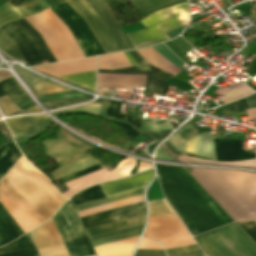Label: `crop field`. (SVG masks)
Here are the masks:
<instances>
[{
    "instance_id": "crop-field-4",
    "label": "crop field",
    "mask_w": 256,
    "mask_h": 256,
    "mask_svg": "<svg viewBox=\"0 0 256 256\" xmlns=\"http://www.w3.org/2000/svg\"><path fill=\"white\" fill-rule=\"evenodd\" d=\"M31 166L22 156L1 181L42 223L66 200Z\"/></svg>"
},
{
    "instance_id": "crop-field-34",
    "label": "crop field",
    "mask_w": 256,
    "mask_h": 256,
    "mask_svg": "<svg viewBox=\"0 0 256 256\" xmlns=\"http://www.w3.org/2000/svg\"><path fill=\"white\" fill-rule=\"evenodd\" d=\"M51 21L60 29L68 43L70 44L71 48L73 49L74 53L76 54L77 58H82L84 55L82 54L81 50L77 46L76 42L74 41L73 37L71 36L70 32L68 31L67 27L49 10L43 11Z\"/></svg>"
},
{
    "instance_id": "crop-field-8",
    "label": "crop field",
    "mask_w": 256,
    "mask_h": 256,
    "mask_svg": "<svg viewBox=\"0 0 256 256\" xmlns=\"http://www.w3.org/2000/svg\"><path fill=\"white\" fill-rule=\"evenodd\" d=\"M25 19L42 35L57 62L76 58L59 29L42 12Z\"/></svg>"
},
{
    "instance_id": "crop-field-20",
    "label": "crop field",
    "mask_w": 256,
    "mask_h": 256,
    "mask_svg": "<svg viewBox=\"0 0 256 256\" xmlns=\"http://www.w3.org/2000/svg\"><path fill=\"white\" fill-rule=\"evenodd\" d=\"M149 68L154 67L147 64L142 66L126 67L114 70H98V72L147 75L145 92L164 95L166 89L168 88V85L165 84L166 81L149 76Z\"/></svg>"
},
{
    "instance_id": "crop-field-16",
    "label": "crop field",
    "mask_w": 256,
    "mask_h": 256,
    "mask_svg": "<svg viewBox=\"0 0 256 256\" xmlns=\"http://www.w3.org/2000/svg\"><path fill=\"white\" fill-rule=\"evenodd\" d=\"M44 145L46 148V154L54 159H56L59 167L79 161L81 159L87 158L89 156L80 153L76 149H74L69 144L65 143L60 139L55 140H47L39 145Z\"/></svg>"
},
{
    "instance_id": "crop-field-73",
    "label": "crop field",
    "mask_w": 256,
    "mask_h": 256,
    "mask_svg": "<svg viewBox=\"0 0 256 256\" xmlns=\"http://www.w3.org/2000/svg\"><path fill=\"white\" fill-rule=\"evenodd\" d=\"M168 135H165V136H153L155 137L156 139H158L159 141H162L164 138H166Z\"/></svg>"
},
{
    "instance_id": "crop-field-72",
    "label": "crop field",
    "mask_w": 256,
    "mask_h": 256,
    "mask_svg": "<svg viewBox=\"0 0 256 256\" xmlns=\"http://www.w3.org/2000/svg\"><path fill=\"white\" fill-rule=\"evenodd\" d=\"M68 125H69V124H68ZM70 126H71V125H70ZM72 127H74V126H72ZM74 128H76V127H74ZM76 129H78V128H76ZM78 130H80V129H78ZM80 131H82V130H80ZM82 132H84V131H82ZM84 133L87 134L88 136H90V137H92V138H94V139H96V140L102 142L101 140L97 139L96 137H94V136H92V135H90V134H88V133H86V132H84ZM102 143H104V142H102ZM105 144H106V143H105Z\"/></svg>"
},
{
    "instance_id": "crop-field-43",
    "label": "crop field",
    "mask_w": 256,
    "mask_h": 256,
    "mask_svg": "<svg viewBox=\"0 0 256 256\" xmlns=\"http://www.w3.org/2000/svg\"><path fill=\"white\" fill-rule=\"evenodd\" d=\"M158 241L162 243L164 249L195 243L190 235L175 237V238H170V239H164V240H158Z\"/></svg>"
},
{
    "instance_id": "crop-field-24",
    "label": "crop field",
    "mask_w": 256,
    "mask_h": 256,
    "mask_svg": "<svg viewBox=\"0 0 256 256\" xmlns=\"http://www.w3.org/2000/svg\"><path fill=\"white\" fill-rule=\"evenodd\" d=\"M143 225H144V223L135 225V226H131L128 228L120 229L117 231L105 233L102 235L90 237L89 239H90L93 247H95V246L131 238V237L139 236L143 229Z\"/></svg>"
},
{
    "instance_id": "crop-field-28",
    "label": "crop field",
    "mask_w": 256,
    "mask_h": 256,
    "mask_svg": "<svg viewBox=\"0 0 256 256\" xmlns=\"http://www.w3.org/2000/svg\"><path fill=\"white\" fill-rule=\"evenodd\" d=\"M8 94H10L15 104L29 99L13 77L0 81V97Z\"/></svg>"
},
{
    "instance_id": "crop-field-64",
    "label": "crop field",
    "mask_w": 256,
    "mask_h": 256,
    "mask_svg": "<svg viewBox=\"0 0 256 256\" xmlns=\"http://www.w3.org/2000/svg\"><path fill=\"white\" fill-rule=\"evenodd\" d=\"M163 146H164L166 149H168L172 154H175V155L184 154V153H182V152H180V151L174 149L173 147H171L167 141L163 143Z\"/></svg>"
},
{
    "instance_id": "crop-field-25",
    "label": "crop field",
    "mask_w": 256,
    "mask_h": 256,
    "mask_svg": "<svg viewBox=\"0 0 256 256\" xmlns=\"http://www.w3.org/2000/svg\"><path fill=\"white\" fill-rule=\"evenodd\" d=\"M0 256H39L29 234L0 248Z\"/></svg>"
},
{
    "instance_id": "crop-field-60",
    "label": "crop field",
    "mask_w": 256,
    "mask_h": 256,
    "mask_svg": "<svg viewBox=\"0 0 256 256\" xmlns=\"http://www.w3.org/2000/svg\"><path fill=\"white\" fill-rule=\"evenodd\" d=\"M101 105L102 104H92L90 106H86V107L75 109V110H83V111H86V112H91V113L98 114L99 110L101 108ZM70 111H72V110H70Z\"/></svg>"
},
{
    "instance_id": "crop-field-15",
    "label": "crop field",
    "mask_w": 256,
    "mask_h": 256,
    "mask_svg": "<svg viewBox=\"0 0 256 256\" xmlns=\"http://www.w3.org/2000/svg\"><path fill=\"white\" fill-rule=\"evenodd\" d=\"M153 175V170H149L132 177L101 184L105 197H110L125 192L137 190L146 187Z\"/></svg>"
},
{
    "instance_id": "crop-field-58",
    "label": "crop field",
    "mask_w": 256,
    "mask_h": 256,
    "mask_svg": "<svg viewBox=\"0 0 256 256\" xmlns=\"http://www.w3.org/2000/svg\"><path fill=\"white\" fill-rule=\"evenodd\" d=\"M134 256H165L163 250H136Z\"/></svg>"
},
{
    "instance_id": "crop-field-41",
    "label": "crop field",
    "mask_w": 256,
    "mask_h": 256,
    "mask_svg": "<svg viewBox=\"0 0 256 256\" xmlns=\"http://www.w3.org/2000/svg\"><path fill=\"white\" fill-rule=\"evenodd\" d=\"M136 160L127 158L121 161L118 166L111 172L115 178L129 175V171L135 168Z\"/></svg>"
},
{
    "instance_id": "crop-field-33",
    "label": "crop field",
    "mask_w": 256,
    "mask_h": 256,
    "mask_svg": "<svg viewBox=\"0 0 256 256\" xmlns=\"http://www.w3.org/2000/svg\"><path fill=\"white\" fill-rule=\"evenodd\" d=\"M144 220H145V215L140 216V217H136V218H132V219H129V220L117 222V223H114V224L102 226V227H99V228L87 230L86 232H87L88 236L90 237V236L102 234V233H105V232L113 231V230H116V229L128 227V226H131V225L143 223Z\"/></svg>"
},
{
    "instance_id": "crop-field-10",
    "label": "crop field",
    "mask_w": 256,
    "mask_h": 256,
    "mask_svg": "<svg viewBox=\"0 0 256 256\" xmlns=\"http://www.w3.org/2000/svg\"><path fill=\"white\" fill-rule=\"evenodd\" d=\"M29 234L40 256H68L52 220Z\"/></svg>"
},
{
    "instance_id": "crop-field-7",
    "label": "crop field",
    "mask_w": 256,
    "mask_h": 256,
    "mask_svg": "<svg viewBox=\"0 0 256 256\" xmlns=\"http://www.w3.org/2000/svg\"><path fill=\"white\" fill-rule=\"evenodd\" d=\"M52 219L70 256L95 255L76 213L68 202Z\"/></svg>"
},
{
    "instance_id": "crop-field-69",
    "label": "crop field",
    "mask_w": 256,
    "mask_h": 256,
    "mask_svg": "<svg viewBox=\"0 0 256 256\" xmlns=\"http://www.w3.org/2000/svg\"><path fill=\"white\" fill-rule=\"evenodd\" d=\"M126 121L129 122V123H131V124H133L135 127H137V128L140 129L141 122H135V121L131 120V116L128 115Z\"/></svg>"
},
{
    "instance_id": "crop-field-45",
    "label": "crop field",
    "mask_w": 256,
    "mask_h": 256,
    "mask_svg": "<svg viewBox=\"0 0 256 256\" xmlns=\"http://www.w3.org/2000/svg\"><path fill=\"white\" fill-rule=\"evenodd\" d=\"M121 103L122 102H115L110 100L105 116L117 118L125 121L127 115L120 114Z\"/></svg>"
},
{
    "instance_id": "crop-field-65",
    "label": "crop field",
    "mask_w": 256,
    "mask_h": 256,
    "mask_svg": "<svg viewBox=\"0 0 256 256\" xmlns=\"http://www.w3.org/2000/svg\"><path fill=\"white\" fill-rule=\"evenodd\" d=\"M1 124H3L2 121H0V130L3 134V136L5 137L6 141L11 140L12 138H11L10 134L8 133L6 127H3Z\"/></svg>"
},
{
    "instance_id": "crop-field-50",
    "label": "crop field",
    "mask_w": 256,
    "mask_h": 256,
    "mask_svg": "<svg viewBox=\"0 0 256 256\" xmlns=\"http://www.w3.org/2000/svg\"><path fill=\"white\" fill-rule=\"evenodd\" d=\"M170 1H173V0H146V1L136 4L134 6L143 12L147 9L156 7L158 5H161L163 3L170 2Z\"/></svg>"
},
{
    "instance_id": "crop-field-59",
    "label": "crop field",
    "mask_w": 256,
    "mask_h": 256,
    "mask_svg": "<svg viewBox=\"0 0 256 256\" xmlns=\"http://www.w3.org/2000/svg\"><path fill=\"white\" fill-rule=\"evenodd\" d=\"M172 41L181 49L183 53H186L192 49V47L180 36Z\"/></svg>"
},
{
    "instance_id": "crop-field-70",
    "label": "crop field",
    "mask_w": 256,
    "mask_h": 256,
    "mask_svg": "<svg viewBox=\"0 0 256 256\" xmlns=\"http://www.w3.org/2000/svg\"><path fill=\"white\" fill-rule=\"evenodd\" d=\"M8 77H11V74L6 71H0V80L6 79Z\"/></svg>"
},
{
    "instance_id": "crop-field-54",
    "label": "crop field",
    "mask_w": 256,
    "mask_h": 256,
    "mask_svg": "<svg viewBox=\"0 0 256 256\" xmlns=\"http://www.w3.org/2000/svg\"><path fill=\"white\" fill-rule=\"evenodd\" d=\"M241 97H243V95L234 87L233 89L228 90L220 100L226 104Z\"/></svg>"
},
{
    "instance_id": "crop-field-31",
    "label": "crop field",
    "mask_w": 256,
    "mask_h": 256,
    "mask_svg": "<svg viewBox=\"0 0 256 256\" xmlns=\"http://www.w3.org/2000/svg\"><path fill=\"white\" fill-rule=\"evenodd\" d=\"M58 78L95 92L96 71Z\"/></svg>"
},
{
    "instance_id": "crop-field-53",
    "label": "crop field",
    "mask_w": 256,
    "mask_h": 256,
    "mask_svg": "<svg viewBox=\"0 0 256 256\" xmlns=\"http://www.w3.org/2000/svg\"><path fill=\"white\" fill-rule=\"evenodd\" d=\"M175 134L179 135L185 141L198 133L188 123L183 128H181L178 132H176Z\"/></svg>"
},
{
    "instance_id": "crop-field-74",
    "label": "crop field",
    "mask_w": 256,
    "mask_h": 256,
    "mask_svg": "<svg viewBox=\"0 0 256 256\" xmlns=\"http://www.w3.org/2000/svg\"><path fill=\"white\" fill-rule=\"evenodd\" d=\"M140 136L146 138L147 140H149V141H151V142L154 141V140H152V139H150V138H148V137H146V136H144V135H142V134H141Z\"/></svg>"
},
{
    "instance_id": "crop-field-48",
    "label": "crop field",
    "mask_w": 256,
    "mask_h": 256,
    "mask_svg": "<svg viewBox=\"0 0 256 256\" xmlns=\"http://www.w3.org/2000/svg\"><path fill=\"white\" fill-rule=\"evenodd\" d=\"M99 117V116H97ZM103 118V117H100ZM107 119V118H104ZM110 120L116 124H118L124 131V136L127 137L130 141L133 140L135 137H137L140 133H138L135 129H133L130 125L123 123V122H119V121H115V120H111V119H107Z\"/></svg>"
},
{
    "instance_id": "crop-field-51",
    "label": "crop field",
    "mask_w": 256,
    "mask_h": 256,
    "mask_svg": "<svg viewBox=\"0 0 256 256\" xmlns=\"http://www.w3.org/2000/svg\"><path fill=\"white\" fill-rule=\"evenodd\" d=\"M234 86H235L244 96H246V95H248V94H250V93L253 92V91H252L250 88H248L246 85H244V84H242V83H236L235 85L230 86L229 88L226 87V88H224V89H221V88L218 87L217 90L215 91V93H217V94L223 96V95L225 94V92H226L228 89H231V88L234 87Z\"/></svg>"
},
{
    "instance_id": "crop-field-12",
    "label": "crop field",
    "mask_w": 256,
    "mask_h": 256,
    "mask_svg": "<svg viewBox=\"0 0 256 256\" xmlns=\"http://www.w3.org/2000/svg\"><path fill=\"white\" fill-rule=\"evenodd\" d=\"M168 142L170 143L171 146L176 148L184 141L181 140L175 134H173L168 139ZM176 149L187 154H192V155H197V156L217 160L210 132L198 134L190 138L189 140H187L185 143H183Z\"/></svg>"
},
{
    "instance_id": "crop-field-49",
    "label": "crop field",
    "mask_w": 256,
    "mask_h": 256,
    "mask_svg": "<svg viewBox=\"0 0 256 256\" xmlns=\"http://www.w3.org/2000/svg\"><path fill=\"white\" fill-rule=\"evenodd\" d=\"M0 108L4 112L5 116L19 110V108L10 101L6 96L0 98Z\"/></svg>"
},
{
    "instance_id": "crop-field-55",
    "label": "crop field",
    "mask_w": 256,
    "mask_h": 256,
    "mask_svg": "<svg viewBox=\"0 0 256 256\" xmlns=\"http://www.w3.org/2000/svg\"><path fill=\"white\" fill-rule=\"evenodd\" d=\"M87 100H90V99H85V100H67V101H48V102H43V104L46 107L56 105L57 108H59V107H63V106H67V105H71V104L87 101Z\"/></svg>"
},
{
    "instance_id": "crop-field-35",
    "label": "crop field",
    "mask_w": 256,
    "mask_h": 256,
    "mask_svg": "<svg viewBox=\"0 0 256 256\" xmlns=\"http://www.w3.org/2000/svg\"><path fill=\"white\" fill-rule=\"evenodd\" d=\"M83 194H76L72 201L74 206L105 198L99 185L84 190Z\"/></svg>"
},
{
    "instance_id": "crop-field-62",
    "label": "crop field",
    "mask_w": 256,
    "mask_h": 256,
    "mask_svg": "<svg viewBox=\"0 0 256 256\" xmlns=\"http://www.w3.org/2000/svg\"><path fill=\"white\" fill-rule=\"evenodd\" d=\"M129 53L132 55V57L137 61V63L140 64H146L148 63L143 57H141L135 50L129 51Z\"/></svg>"
},
{
    "instance_id": "crop-field-71",
    "label": "crop field",
    "mask_w": 256,
    "mask_h": 256,
    "mask_svg": "<svg viewBox=\"0 0 256 256\" xmlns=\"http://www.w3.org/2000/svg\"><path fill=\"white\" fill-rule=\"evenodd\" d=\"M38 111H39L38 108H37L36 106H34V107H32V108H30V109H28V110H26V111H24V112H21V113H19V114L31 113V112H38Z\"/></svg>"
},
{
    "instance_id": "crop-field-68",
    "label": "crop field",
    "mask_w": 256,
    "mask_h": 256,
    "mask_svg": "<svg viewBox=\"0 0 256 256\" xmlns=\"http://www.w3.org/2000/svg\"><path fill=\"white\" fill-rule=\"evenodd\" d=\"M125 56L127 57L128 61L130 62L131 66L138 65L136 61L130 56L128 52H124Z\"/></svg>"
},
{
    "instance_id": "crop-field-39",
    "label": "crop field",
    "mask_w": 256,
    "mask_h": 256,
    "mask_svg": "<svg viewBox=\"0 0 256 256\" xmlns=\"http://www.w3.org/2000/svg\"><path fill=\"white\" fill-rule=\"evenodd\" d=\"M0 49L3 50L5 53L10 55L11 57L22 60V56L18 52L15 45L6 37V35L0 30Z\"/></svg>"
},
{
    "instance_id": "crop-field-29",
    "label": "crop field",
    "mask_w": 256,
    "mask_h": 256,
    "mask_svg": "<svg viewBox=\"0 0 256 256\" xmlns=\"http://www.w3.org/2000/svg\"><path fill=\"white\" fill-rule=\"evenodd\" d=\"M21 156L20 151L14 143H8L0 149V174H4L7 169ZM9 170V169H8Z\"/></svg>"
},
{
    "instance_id": "crop-field-63",
    "label": "crop field",
    "mask_w": 256,
    "mask_h": 256,
    "mask_svg": "<svg viewBox=\"0 0 256 256\" xmlns=\"http://www.w3.org/2000/svg\"><path fill=\"white\" fill-rule=\"evenodd\" d=\"M246 99H247L251 109L256 107V93L246 97Z\"/></svg>"
},
{
    "instance_id": "crop-field-19",
    "label": "crop field",
    "mask_w": 256,
    "mask_h": 256,
    "mask_svg": "<svg viewBox=\"0 0 256 256\" xmlns=\"http://www.w3.org/2000/svg\"><path fill=\"white\" fill-rule=\"evenodd\" d=\"M213 140L219 161H240L255 158V154L242 151V142L239 140Z\"/></svg>"
},
{
    "instance_id": "crop-field-14",
    "label": "crop field",
    "mask_w": 256,
    "mask_h": 256,
    "mask_svg": "<svg viewBox=\"0 0 256 256\" xmlns=\"http://www.w3.org/2000/svg\"><path fill=\"white\" fill-rule=\"evenodd\" d=\"M97 57L33 67L54 77L96 70Z\"/></svg>"
},
{
    "instance_id": "crop-field-26",
    "label": "crop field",
    "mask_w": 256,
    "mask_h": 256,
    "mask_svg": "<svg viewBox=\"0 0 256 256\" xmlns=\"http://www.w3.org/2000/svg\"><path fill=\"white\" fill-rule=\"evenodd\" d=\"M139 237L95 247L97 256H131Z\"/></svg>"
},
{
    "instance_id": "crop-field-40",
    "label": "crop field",
    "mask_w": 256,
    "mask_h": 256,
    "mask_svg": "<svg viewBox=\"0 0 256 256\" xmlns=\"http://www.w3.org/2000/svg\"><path fill=\"white\" fill-rule=\"evenodd\" d=\"M168 256H189L201 254L202 251L197 244L165 250Z\"/></svg>"
},
{
    "instance_id": "crop-field-2",
    "label": "crop field",
    "mask_w": 256,
    "mask_h": 256,
    "mask_svg": "<svg viewBox=\"0 0 256 256\" xmlns=\"http://www.w3.org/2000/svg\"><path fill=\"white\" fill-rule=\"evenodd\" d=\"M155 166L165 196L194 235L233 221L183 167Z\"/></svg>"
},
{
    "instance_id": "crop-field-27",
    "label": "crop field",
    "mask_w": 256,
    "mask_h": 256,
    "mask_svg": "<svg viewBox=\"0 0 256 256\" xmlns=\"http://www.w3.org/2000/svg\"><path fill=\"white\" fill-rule=\"evenodd\" d=\"M138 52L152 65L159 68L163 72L167 73L170 76L176 75L179 70L170 62H168L164 57H162L159 53H157L152 48L138 50Z\"/></svg>"
},
{
    "instance_id": "crop-field-21",
    "label": "crop field",
    "mask_w": 256,
    "mask_h": 256,
    "mask_svg": "<svg viewBox=\"0 0 256 256\" xmlns=\"http://www.w3.org/2000/svg\"><path fill=\"white\" fill-rule=\"evenodd\" d=\"M48 7L42 0H35L17 8L6 2L0 7V25L10 20L40 12Z\"/></svg>"
},
{
    "instance_id": "crop-field-5",
    "label": "crop field",
    "mask_w": 256,
    "mask_h": 256,
    "mask_svg": "<svg viewBox=\"0 0 256 256\" xmlns=\"http://www.w3.org/2000/svg\"><path fill=\"white\" fill-rule=\"evenodd\" d=\"M210 256H256V245L235 223L196 237Z\"/></svg>"
},
{
    "instance_id": "crop-field-42",
    "label": "crop field",
    "mask_w": 256,
    "mask_h": 256,
    "mask_svg": "<svg viewBox=\"0 0 256 256\" xmlns=\"http://www.w3.org/2000/svg\"><path fill=\"white\" fill-rule=\"evenodd\" d=\"M149 203V216L171 213L173 210L170 208L165 199L151 201Z\"/></svg>"
},
{
    "instance_id": "crop-field-57",
    "label": "crop field",
    "mask_w": 256,
    "mask_h": 256,
    "mask_svg": "<svg viewBox=\"0 0 256 256\" xmlns=\"http://www.w3.org/2000/svg\"><path fill=\"white\" fill-rule=\"evenodd\" d=\"M137 249H163L160 243L141 239Z\"/></svg>"
},
{
    "instance_id": "crop-field-6",
    "label": "crop field",
    "mask_w": 256,
    "mask_h": 256,
    "mask_svg": "<svg viewBox=\"0 0 256 256\" xmlns=\"http://www.w3.org/2000/svg\"><path fill=\"white\" fill-rule=\"evenodd\" d=\"M0 29L16 45L28 66L42 65L41 61L45 60L56 62L41 35L24 18L5 24Z\"/></svg>"
},
{
    "instance_id": "crop-field-67",
    "label": "crop field",
    "mask_w": 256,
    "mask_h": 256,
    "mask_svg": "<svg viewBox=\"0 0 256 256\" xmlns=\"http://www.w3.org/2000/svg\"><path fill=\"white\" fill-rule=\"evenodd\" d=\"M151 167H152L151 164L140 163L138 172H141V171H143V170L149 169V168H151ZM138 172H137V173H138Z\"/></svg>"
},
{
    "instance_id": "crop-field-22",
    "label": "crop field",
    "mask_w": 256,
    "mask_h": 256,
    "mask_svg": "<svg viewBox=\"0 0 256 256\" xmlns=\"http://www.w3.org/2000/svg\"><path fill=\"white\" fill-rule=\"evenodd\" d=\"M134 48L148 46L170 40L168 35L157 25L147 29L135 31L127 34Z\"/></svg>"
},
{
    "instance_id": "crop-field-23",
    "label": "crop field",
    "mask_w": 256,
    "mask_h": 256,
    "mask_svg": "<svg viewBox=\"0 0 256 256\" xmlns=\"http://www.w3.org/2000/svg\"><path fill=\"white\" fill-rule=\"evenodd\" d=\"M109 180H113V178L109 174V172L103 168V169H100L98 171H95L93 173L87 174L83 177H80L78 179H75L73 181L66 183L65 185L70 190L63 192L61 194H63L66 198H69L76 192H78L90 185L109 181Z\"/></svg>"
},
{
    "instance_id": "crop-field-3",
    "label": "crop field",
    "mask_w": 256,
    "mask_h": 256,
    "mask_svg": "<svg viewBox=\"0 0 256 256\" xmlns=\"http://www.w3.org/2000/svg\"><path fill=\"white\" fill-rule=\"evenodd\" d=\"M192 175L235 221L256 217V174L195 168Z\"/></svg>"
},
{
    "instance_id": "crop-field-18",
    "label": "crop field",
    "mask_w": 256,
    "mask_h": 256,
    "mask_svg": "<svg viewBox=\"0 0 256 256\" xmlns=\"http://www.w3.org/2000/svg\"><path fill=\"white\" fill-rule=\"evenodd\" d=\"M13 68L16 72L21 76V78L29 85V87L34 91L36 96H41L50 93H58V92H65V91H73L67 87L49 82L40 76L29 72L22 68Z\"/></svg>"
},
{
    "instance_id": "crop-field-75",
    "label": "crop field",
    "mask_w": 256,
    "mask_h": 256,
    "mask_svg": "<svg viewBox=\"0 0 256 256\" xmlns=\"http://www.w3.org/2000/svg\"><path fill=\"white\" fill-rule=\"evenodd\" d=\"M137 1H139V0H132V1H130V3L133 4V3L137 2Z\"/></svg>"
},
{
    "instance_id": "crop-field-9",
    "label": "crop field",
    "mask_w": 256,
    "mask_h": 256,
    "mask_svg": "<svg viewBox=\"0 0 256 256\" xmlns=\"http://www.w3.org/2000/svg\"><path fill=\"white\" fill-rule=\"evenodd\" d=\"M139 21L145 28L157 24L165 32L187 25L189 11L187 3L153 12Z\"/></svg>"
},
{
    "instance_id": "crop-field-13",
    "label": "crop field",
    "mask_w": 256,
    "mask_h": 256,
    "mask_svg": "<svg viewBox=\"0 0 256 256\" xmlns=\"http://www.w3.org/2000/svg\"><path fill=\"white\" fill-rule=\"evenodd\" d=\"M0 193L1 203L25 233L40 224L1 182Z\"/></svg>"
},
{
    "instance_id": "crop-field-76",
    "label": "crop field",
    "mask_w": 256,
    "mask_h": 256,
    "mask_svg": "<svg viewBox=\"0 0 256 256\" xmlns=\"http://www.w3.org/2000/svg\"><path fill=\"white\" fill-rule=\"evenodd\" d=\"M195 256H205L204 254H201V255H195Z\"/></svg>"
},
{
    "instance_id": "crop-field-17",
    "label": "crop field",
    "mask_w": 256,
    "mask_h": 256,
    "mask_svg": "<svg viewBox=\"0 0 256 256\" xmlns=\"http://www.w3.org/2000/svg\"><path fill=\"white\" fill-rule=\"evenodd\" d=\"M48 118L46 115H36L27 117H18L6 120L14 139L25 138L36 133L44 121Z\"/></svg>"
},
{
    "instance_id": "crop-field-11",
    "label": "crop field",
    "mask_w": 256,
    "mask_h": 256,
    "mask_svg": "<svg viewBox=\"0 0 256 256\" xmlns=\"http://www.w3.org/2000/svg\"><path fill=\"white\" fill-rule=\"evenodd\" d=\"M145 214V203L139 202L101 213L81 217L85 229H91L117 221L129 219Z\"/></svg>"
},
{
    "instance_id": "crop-field-47",
    "label": "crop field",
    "mask_w": 256,
    "mask_h": 256,
    "mask_svg": "<svg viewBox=\"0 0 256 256\" xmlns=\"http://www.w3.org/2000/svg\"><path fill=\"white\" fill-rule=\"evenodd\" d=\"M236 223L256 242V218Z\"/></svg>"
},
{
    "instance_id": "crop-field-1",
    "label": "crop field",
    "mask_w": 256,
    "mask_h": 256,
    "mask_svg": "<svg viewBox=\"0 0 256 256\" xmlns=\"http://www.w3.org/2000/svg\"><path fill=\"white\" fill-rule=\"evenodd\" d=\"M53 6L64 0H43ZM87 22L105 53L133 49L109 6L102 0H66ZM49 8L69 29L85 57L103 54L85 20L67 3Z\"/></svg>"
},
{
    "instance_id": "crop-field-61",
    "label": "crop field",
    "mask_w": 256,
    "mask_h": 256,
    "mask_svg": "<svg viewBox=\"0 0 256 256\" xmlns=\"http://www.w3.org/2000/svg\"><path fill=\"white\" fill-rule=\"evenodd\" d=\"M155 158L158 159H166V160H171L173 159L168 153H166L160 146L155 154Z\"/></svg>"
},
{
    "instance_id": "crop-field-30",
    "label": "crop field",
    "mask_w": 256,
    "mask_h": 256,
    "mask_svg": "<svg viewBox=\"0 0 256 256\" xmlns=\"http://www.w3.org/2000/svg\"><path fill=\"white\" fill-rule=\"evenodd\" d=\"M96 164H98V162L95 159L89 157L87 159L76 162L75 164H70L65 167L59 168V169L55 170L54 172H52L51 175L56 180H58L60 178H63L65 176H68L70 174H73L75 172H78L80 170H83L85 168H88V167L96 165Z\"/></svg>"
},
{
    "instance_id": "crop-field-46",
    "label": "crop field",
    "mask_w": 256,
    "mask_h": 256,
    "mask_svg": "<svg viewBox=\"0 0 256 256\" xmlns=\"http://www.w3.org/2000/svg\"><path fill=\"white\" fill-rule=\"evenodd\" d=\"M153 48L159 52L161 55H163L165 58H167L169 61H171L174 65H176L178 68H181L183 66V62H181L173 53H171L164 45H156L153 46Z\"/></svg>"
},
{
    "instance_id": "crop-field-44",
    "label": "crop field",
    "mask_w": 256,
    "mask_h": 256,
    "mask_svg": "<svg viewBox=\"0 0 256 256\" xmlns=\"http://www.w3.org/2000/svg\"><path fill=\"white\" fill-rule=\"evenodd\" d=\"M178 159H179V161H186V162L212 163V164H223V165H231V166L256 168V160L246 161V162H238V163H221V162L200 160V159H196V158H192V157H188V156L180 157Z\"/></svg>"
},
{
    "instance_id": "crop-field-56",
    "label": "crop field",
    "mask_w": 256,
    "mask_h": 256,
    "mask_svg": "<svg viewBox=\"0 0 256 256\" xmlns=\"http://www.w3.org/2000/svg\"><path fill=\"white\" fill-rule=\"evenodd\" d=\"M100 168H102V166H101L100 164H98V165H96V166H93V167L88 168V169H86V170H83V171H81V172H78V173H75V174L70 175V176H68V177H65V178H63V181H64V183H65V182H68V181H70V180H73V179H75V178H78V177H80V176H83V175H85V174H87V173H90V172L95 171V170L100 169ZM102 169H103V168H102ZM97 171H98V170H97ZM92 173H93V172H92Z\"/></svg>"
},
{
    "instance_id": "crop-field-38",
    "label": "crop field",
    "mask_w": 256,
    "mask_h": 256,
    "mask_svg": "<svg viewBox=\"0 0 256 256\" xmlns=\"http://www.w3.org/2000/svg\"><path fill=\"white\" fill-rule=\"evenodd\" d=\"M141 131L149 132V133H167V132H171L172 130L168 121H163V122L142 121Z\"/></svg>"
},
{
    "instance_id": "crop-field-66",
    "label": "crop field",
    "mask_w": 256,
    "mask_h": 256,
    "mask_svg": "<svg viewBox=\"0 0 256 256\" xmlns=\"http://www.w3.org/2000/svg\"><path fill=\"white\" fill-rule=\"evenodd\" d=\"M183 29H184V27L173 30V31H170V32H167V34L172 39V38L176 37L177 35H179L182 32Z\"/></svg>"
},
{
    "instance_id": "crop-field-52",
    "label": "crop field",
    "mask_w": 256,
    "mask_h": 256,
    "mask_svg": "<svg viewBox=\"0 0 256 256\" xmlns=\"http://www.w3.org/2000/svg\"><path fill=\"white\" fill-rule=\"evenodd\" d=\"M229 108L230 112L232 113H241L245 110L250 109L245 98L237 102L230 103Z\"/></svg>"
},
{
    "instance_id": "crop-field-36",
    "label": "crop field",
    "mask_w": 256,
    "mask_h": 256,
    "mask_svg": "<svg viewBox=\"0 0 256 256\" xmlns=\"http://www.w3.org/2000/svg\"><path fill=\"white\" fill-rule=\"evenodd\" d=\"M143 190L144 189H141V190L133 191V192H130V193L118 195V196H115V197L107 198V199H104V200H100V201H96V202L76 206L75 208H76L77 212L82 211V210H86V209H90V208L101 206V205H104V204L116 202V201H119V200L127 199V198L138 196V195H142Z\"/></svg>"
},
{
    "instance_id": "crop-field-32",
    "label": "crop field",
    "mask_w": 256,
    "mask_h": 256,
    "mask_svg": "<svg viewBox=\"0 0 256 256\" xmlns=\"http://www.w3.org/2000/svg\"><path fill=\"white\" fill-rule=\"evenodd\" d=\"M18 238L10 220L0 206V246Z\"/></svg>"
},
{
    "instance_id": "crop-field-37",
    "label": "crop field",
    "mask_w": 256,
    "mask_h": 256,
    "mask_svg": "<svg viewBox=\"0 0 256 256\" xmlns=\"http://www.w3.org/2000/svg\"><path fill=\"white\" fill-rule=\"evenodd\" d=\"M56 137L66 141L67 143H69L70 145H72L73 147H75L76 149L81 151L82 153L94 148L86 143H83V142L77 140L76 138H74L72 135H70L68 132H66L61 127L59 128V131L57 132Z\"/></svg>"
}]
</instances>
